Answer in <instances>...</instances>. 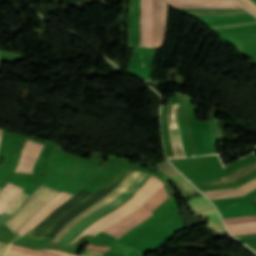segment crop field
<instances>
[{
	"label": "crop field",
	"mask_w": 256,
	"mask_h": 256,
	"mask_svg": "<svg viewBox=\"0 0 256 256\" xmlns=\"http://www.w3.org/2000/svg\"><path fill=\"white\" fill-rule=\"evenodd\" d=\"M138 173L139 171L137 170H129L126 179L120 186H118L110 195L84 211L75 219H73L59 232V234L51 242L57 243L63 237V235L77 222H79L81 219H83L95 209L107 204L115 197H117L129 185V183L136 177ZM150 176L152 175L140 172L137 177L130 183V185L117 198H115L104 207L92 212L90 215L81 220L72 229H70L57 244H70L77 236H79L87 227H89L96 220L114 211L126 201L131 199Z\"/></svg>",
	"instance_id": "1"
},
{
	"label": "crop field",
	"mask_w": 256,
	"mask_h": 256,
	"mask_svg": "<svg viewBox=\"0 0 256 256\" xmlns=\"http://www.w3.org/2000/svg\"><path fill=\"white\" fill-rule=\"evenodd\" d=\"M155 0H141V43L149 46ZM167 3L156 0L150 46L160 47L165 37Z\"/></svg>",
	"instance_id": "2"
},
{
	"label": "crop field",
	"mask_w": 256,
	"mask_h": 256,
	"mask_svg": "<svg viewBox=\"0 0 256 256\" xmlns=\"http://www.w3.org/2000/svg\"><path fill=\"white\" fill-rule=\"evenodd\" d=\"M154 177L152 176L151 178H149L147 182L141 187V189L130 201L125 203L116 211L99 219L97 222L92 224L88 229H86L79 237H81L84 234L97 235L102 229L122 220L123 218L127 217L135 210H137L147 199H149L155 192H157L162 185H165ZM78 238H76L75 241Z\"/></svg>",
	"instance_id": "3"
},
{
	"label": "crop field",
	"mask_w": 256,
	"mask_h": 256,
	"mask_svg": "<svg viewBox=\"0 0 256 256\" xmlns=\"http://www.w3.org/2000/svg\"><path fill=\"white\" fill-rule=\"evenodd\" d=\"M164 187H162L157 193H155L145 204H143L136 212L125 218L124 220L106 228L104 232L120 238L124 233L130 229L136 227L144 220L149 218L155 208H157L164 200L168 198Z\"/></svg>",
	"instance_id": "4"
},
{
	"label": "crop field",
	"mask_w": 256,
	"mask_h": 256,
	"mask_svg": "<svg viewBox=\"0 0 256 256\" xmlns=\"http://www.w3.org/2000/svg\"><path fill=\"white\" fill-rule=\"evenodd\" d=\"M57 193L59 191L41 185L5 224L14 233Z\"/></svg>",
	"instance_id": "5"
},
{
	"label": "crop field",
	"mask_w": 256,
	"mask_h": 256,
	"mask_svg": "<svg viewBox=\"0 0 256 256\" xmlns=\"http://www.w3.org/2000/svg\"><path fill=\"white\" fill-rule=\"evenodd\" d=\"M186 202L192 213L209 219V229L217 231L225 228L214 207L204 197L188 200Z\"/></svg>",
	"instance_id": "6"
},
{
	"label": "crop field",
	"mask_w": 256,
	"mask_h": 256,
	"mask_svg": "<svg viewBox=\"0 0 256 256\" xmlns=\"http://www.w3.org/2000/svg\"><path fill=\"white\" fill-rule=\"evenodd\" d=\"M71 195L67 193L60 192L50 201H48L34 216H32L21 228H19L15 233L23 235L36 224H38L45 216H47L55 207L61 204Z\"/></svg>",
	"instance_id": "7"
},
{
	"label": "crop field",
	"mask_w": 256,
	"mask_h": 256,
	"mask_svg": "<svg viewBox=\"0 0 256 256\" xmlns=\"http://www.w3.org/2000/svg\"><path fill=\"white\" fill-rule=\"evenodd\" d=\"M44 146L27 140L20 156L19 164L14 172L32 173L34 164Z\"/></svg>",
	"instance_id": "8"
},
{
	"label": "crop field",
	"mask_w": 256,
	"mask_h": 256,
	"mask_svg": "<svg viewBox=\"0 0 256 256\" xmlns=\"http://www.w3.org/2000/svg\"><path fill=\"white\" fill-rule=\"evenodd\" d=\"M178 105L179 104L169 105L168 111H167V118H168V125H169L173 152L176 158H181L185 156H184L178 124H177Z\"/></svg>",
	"instance_id": "9"
},
{
	"label": "crop field",
	"mask_w": 256,
	"mask_h": 256,
	"mask_svg": "<svg viewBox=\"0 0 256 256\" xmlns=\"http://www.w3.org/2000/svg\"><path fill=\"white\" fill-rule=\"evenodd\" d=\"M174 8H235L236 1H168Z\"/></svg>",
	"instance_id": "10"
},
{
	"label": "crop field",
	"mask_w": 256,
	"mask_h": 256,
	"mask_svg": "<svg viewBox=\"0 0 256 256\" xmlns=\"http://www.w3.org/2000/svg\"><path fill=\"white\" fill-rule=\"evenodd\" d=\"M255 188H256V178L246 182L245 184L237 188L206 191L203 193L207 195L210 199L227 198V197L243 196Z\"/></svg>",
	"instance_id": "11"
},
{
	"label": "crop field",
	"mask_w": 256,
	"mask_h": 256,
	"mask_svg": "<svg viewBox=\"0 0 256 256\" xmlns=\"http://www.w3.org/2000/svg\"><path fill=\"white\" fill-rule=\"evenodd\" d=\"M63 251L33 250L16 245H9L5 256H61Z\"/></svg>",
	"instance_id": "12"
},
{
	"label": "crop field",
	"mask_w": 256,
	"mask_h": 256,
	"mask_svg": "<svg viewBox=\"0 0 256 256\" xmlns=\"http://www.w3.org/2000/svg\"><path fill=\"white\" fill-rule=\"evenodd\" d=\"M187 14L251 15L245 9H178Z\"/></svg>",
	"instance_id": "13"
},
{
	"label": "crop field",
	"mask_w": 256,
	"mask_h": 256,
	"mask_svg": "<svg viewBox=\"0 0 256 256\" xmlns=\"http://www.w3.org/2000/svg\"><path fill=\"white\" fill-rule=\"evenodd\" d=\"M8 184L15 186L11 183H8ZM10 185L5 186V188L0 192V210L7 209L9 207V205L17 198V196L23 190V189L22 190L16 189ZM15 187H17V186H15ZM17 188H19V187H17ZM4 211L5 210L0 211V214H2Z\"/></svg>",
	"instance_id": "14"
},
{
	"label": "crop field",
	"mask_w": 256,
	"mask_h": 256,
	"mask_svg": "<svg viewBox=\"0 0 256 256\" xmlns=\"http://www.w3.org/2000/svg\"><path fill=\"white\" fill-rule=\"evenodd\" d=\"M179 188L183 197L198 194L199 192L188 183L178 172L168 175Z\"/></svg>",
	"instance_id": "15"
},
{
	"label": "crop field",
	"mask_w": 256,
	"mask_h": 256,
	"mask_svg": "<svg viewBox=\"0 0 256 256\" xmlns=\"http://www.w3.org/2000/svg\"><path fill=\"white\" fill-rule=\"evenodd\" d=\"M254 169H256V161H254L253 163L244 167L243 169L239 170L238 172L234 173L233 175H231L229 177H224V178H222L223 180L215 182L213 184L233 182V181L239 179L240 177L246 175L247 173L253 171Z\"/></svg>",
	"instance_id": "16"
},
{
	"label": "crop field",
	"mask_w": 256,
	"mask_h": 256,
	"mask_svg": "<svg viewBox=\"0 0 256 256\" xmlns=\"http://www.w3.org/2000/svg\"><path fill=\"white\" fill-rule=\"evenodd\" d=\"M224 221H225L226 225L255 222L256 216L255 217L246 216V217L227 218V219H224Z\"/></svg>",
	"instance_id": "17"
},
{
	"label": "crop field",
	"mask_w": 256,
	"mask_h": 256,
	"mask_svg": "<svg viewBox=\"0 0 256 256\" xmlns=\"http://www.w3.org/2000/svg\"><path fill=\"white\" fill-rule=\"evenodd\" d=\"M28 194L22 193L15 201L14 203L8 208L6 213L12 215L14 211L21 205V203L28 197Z\"/></svg>",
	"instance_id": "18"
},
{
	"label": "crop field",
	"mask_w": 256,
	"mask_h": 256,
	"mask_svg": "<svg viewBox=\"0 0 256 256\" xmlns=\"http://www.w3.org/2000/svg\"><path fill=\"white\" fill-rule=\"evenodd\" d=\"M104 252L84 250L80 256H102Z\"/></svg>",
	"instance_id": "19"
},
{
	"label": "crop field",
	"mask_w": 256,
	"mask_h": 256,
	"mask_svg": "<svg viewBox=\"0 0 256 256\" xmlns=\"http://www.w3.org/2000/svg\"><path fill=\"white\" fill-rule=\"evenodd\" d=\"M86 248H88V249H95V250L107 251L109 247H107V246H99V245L88 244Z\"/></svg>",
	"instance_id": "20"
},
{
	"label": "crop field",
	"mask_w": 256,
	"mask_h": 256,
	"mask_svg": "<svg viewBox=\"0 0 256 256\" xmlns=\"http://www.w3.org/2000/svg\"><path fill=\"white\" fill-rule=\"evenodd\" d=\"M248 226H256V223L231 225V226H227V227H228V229H232V228H240V227H248Z\"/></svg>",
	"instance_id": "21"
},
{
	"label": "crop field",
	"mask_w": 256,
	"mask_h": 256,
	"mask_svg": "<svg viewBox=\"0 0 256 256\" xmlns=\"http://www.w3.org/2000/svg\"><path fill=\"white\" fill-rule=\"evenodd\" d=\"M238 1H240L247 9H249L253 14L256 15V10L252 6H250L246 1L244 0H238Z\"/></svg>",
	"instance_id": "22"
},
{
	"label": "crop field",
	"mask_w": 256,
	"mask_h": 256,
	"mask_svg": "<svg viewBox=\"0 0 256 256\" xmlns=\"http://www.w3.org/2000/svg\"><path fill=\"white\" fill-rule=\"evenodd\" d=\"M7 245H8V244L3 243V244L0 246V256H2V255L4 254Z\"/></svg>",
	"instance_id": "23"
},
{
	"label": "crop field",
	"mask_w": 256,
	"mask_h": 256,
	"mask_svg": "<svg viewBox=\"0 0 256 256\" xmlns=\"http://www.w3.org/2000/svg\"><path fill=\"white\" fill-rule=\"evenodd\" d=\"M246 1L256 9V5L251 0H246Z\"/></svg>",
	"instance_id": "24"
},
{
	"label": "crop field",
	"mask_w": 256,
	"mask_h": 256,
	"mask_svg": "<svg viewBox=\"0 0 256 256\" xmlns=\"http://www.w3.org/2000/svg\"><path fill=\"white\" fill-rule=\"evenodd\" d=\"M62 256H75V255H72V254H70V253H64V252H63Z\"/></svg>",
	"instance_id": "25"
},
{
	"label": "crop field",
	"mask_w": 256,
	"mask_h": 256,
	"mask_svg": "<svg viewBox=\"0 0 256 256\" xmlns=\"http://www.w3.org/2000/svg\"><path fill=\"white\" fill-rule=\"evenodd\" d=\"M114 176H115V175H114ZM109 194H110V193H109ZM106 196H107V195H106ZM103 198H104V197H103ZM49 215H50V214H49ZM49 215H48V216H49ZM59 219H60V218H59ZM59 219H58V220H59ZM43 220H44V219H43ZM43 220H42V221H43ZM58 220H57V221H58ZM42 221H41V222H42ZM41 222H40V223H41ZM36 226H37V225H36ZM39 236H40V235H39ZM36 238H37V237H36Z\"/></svg>",
	"instance_id": "26"
},
{
	"label": "crop field",
	"mask_w": 256,
	"mask_h": 256,
	"mask_svg": "<svg viewBox=\"0 0 256 256\" xmlns=\"http://www.w3.org/2000/svg\"><path fill=\"white\" fill-rule=\"evenodd\" d=\"M0 132H1V131H0ZM1 134H2V133H0V139H1Z\"/></svg>",
	"instance_id": "27"
},
{
	"label": "crop field",
	"mask_w": 256,
	"mask_h": 256,
	"mask_svg": "<svg viewBox=\"0 0 256 256\" xmlns=\"http://www.w3.org/2000/svg\"><path fill=\"white\" fill-rule=\"evenodd\" d=\"M2 242H0V244H1Z\"/></svg>",
	"instance_id": "28"
},
{
	"label": "crop field",
	"mask_w": 256,
	"mask_h": 256,
	"mask_svg": "<svg viewBox=\"0 0 256 256\" xmlns=\"http://www.w3.org/2000/svg\"><path fill=\"white\" fill-rule=\"evenodd\" d=\"M1 190V189H0Z\"/></svg>",
	"instance_id": "29"
}]
</instances>
